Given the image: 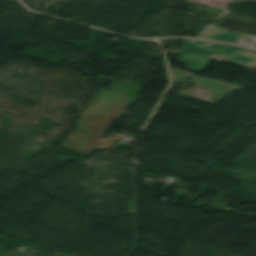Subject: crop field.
<instances>
[{"label": "crop field", "mask_w": 256, "mask_h": 256, "mask_svg": "<svg viewBox=\"0 0 256 256\" xmlns=\"http://www.w3.org/2000/svg\"><path fill=\"white\" fill-rule=\"evenodd\" d=\"M183 51L208 58L214 54L226 55L231 57L228 64L241 68L256 60V51L198 40L185 39Z\"/></svg>", "instance_id": "8a807250"}, {"label": "crop field", "mask_w": 256, "mask_h": 256, "mask_svg": "<svg viewBox=\"0 0 256 256\" xmlns=\"http://www.w3.org/2000/svg\"><path fill=\"white\" fill-rule=\"evenodd\" d=\"M121 94L113 93L105 90L98 101L86 113L89 115L87 119L80 125L75 134L68 137L70 144L67 149L78 151L87 138L92 134L108 112L113 108L117 101L121 98ZM88 132L89 134L81 133L80 131Z\"/></svg>", "instance_id": "ac0d7876"}, {"label": "crop field", "mask_w": 256, "mask_h": 256, "mask_svg": "<svg viewBox=\"0 0 256 256\" xmlns=\"http://www.w3.org/2000/svg\"><path fill=\"white\" fill-rule=\"evenodd\" d=\"M131 98H132L131 96H127V95L123 96V98L115 106L112 112L108 115V117L104 120V122L100 125V127L96 130V132L92 135V137L85 144V146L81 149L80 153L90 155L94 149L109 150L115 147L114 142L101 141L103 138V135L101 134L109 126V124L118 117V115L125 108V106L131 100Z\"/></svg>", "instance_id": "34b2d1b8"}, {"label": "crop field", "mask_w": 256, "mask_h": 256, "mask_svg": "<svg viewBox=\"0 0 256 256\" xmlns=\"http://www.w3.org/2000/svg\"><path fill=\"white\" fill-rule=\"evenodd\" d=\"M198 38L228 43H237L242 38V36L234 31L215 26H209Z\"/></svg>", "instance_id": "412701ff"}, {"label": "crop field", "mask_w": 256, "mask_h": 256, "mask_svg": "<svg viewBox=\"0 0 256 256\" xmlns=\"http://www.w3.org/2000/svg\"><path fill=\"white\" fill-rule=\"evenodd\" d=\"M211 59L191 55L188 53L182 52L179 62L185 63L188 66V70L195 71V72H203L205 67L208 65Z\"/></svg>", "instance_id": "f4fd0767"}, {"label": "crop field", "mask_w": 256, "mask_h": 256, "mask_svg": "<svg viewBox=\"0 0 256 256\" xmlns=\"http://www.w3.org/2000/svg\"><path fill=\"white\" fill-rule=\"evenodd\" d=\"M238 44H243V45H248V46L251 44H256V37L249 36V35H243V38L238 42Z\"/></svg>", "instance_id": "dd49c442"}, {"label": "crop field", "mask_w": 256, "mask_h": 256, "mask_svg": "<svg viewBox=\"0 0 256 256\" xmlns=\"http://www.w3.org/2000/svg\"><path fill=\"white\" fill-rule=\"evenodd\" d=\"M253 68H256V62L251 63L250 65L246 66L244 69L251 70Z\"/></svg>", "instance_id": "e52e79f7"}, {"label": "crop field", "mask_w": 256, "mask_h": 256, "mask_svg": "<svg viewBox=\"0 0 256 256\" xmlns=\"http://www.w3.org/2000/svg\"><path fill=\"white\" fill-rule=\"evenodd\" d=\"M251 46H253V47H255V48H256V45H251Z\"/></svg>", "instance_id": "d8731c3e"}]
</instances>
